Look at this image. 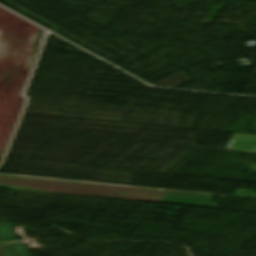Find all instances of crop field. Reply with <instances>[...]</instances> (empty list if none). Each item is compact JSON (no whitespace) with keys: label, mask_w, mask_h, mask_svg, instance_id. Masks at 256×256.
I'll return each instance as SVG.
<instances>
[{"label":"crop field","mask_w":256,"mask_h":256,"mask_svg":"<svg viewBox=\"0 0 256 256\" xmlns=\"http://www.w3.org/2000/svg\"><path fill=\"white\" fill-rule=\"evenodd\" d=\"M0 230L2 234L3 241H12L16 240L11 232V224L8 223H1ZM1 241V239H0Z\"/></svg>","instance_id":"2"},{"label":"crop field","mask_w":256,"mask_h":256,"mask_svg":"<svg viewBox=\"0 0 256 256\" xmlns=\"http://www.w3.org/2000/svg\"><path fill=\"white\" fill-rule=\"evenodd\" d=\"M234 195L246 196V197H254V198H256L255 192H254V191H251V190L237 189Z\"/></svg>","instance_id":"3"},{"label":"crop field","mask_w":256,"mask_h":256,"mask_svg":"<svg viewBox=\"0 0 256 256\" xmlns=\"http://www.w3.org/2000/svg\"><path fill=\"white\" fill-rule=\"evenodd\" d=\"M256 39V38H255Z\"/></svg>","instance_id":"4"},{"label":"crop field","mask_w":256,"mask_h":256,"mask_svg":"<svg viewBox=\"0 0 256 256\" xmlns=\"http://www.w3.org/2000/svg\"><path fill=\"white\" fill-rule=\"evenodd\" d=\"M166 197L187 199V200H197V201H207V202H211L212 200V197L201 196L195 192H184V191H173Z\"/></svg>","instance_id":"1"}]
</instances>
